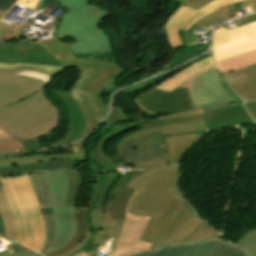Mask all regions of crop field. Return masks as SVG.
<instances>
[{
    "instance_id": "obj_1",
    "label": "crop field",
    "mask_w": 256,
    "mask_h": 256,
    "mask_svg": "<svg viewBox=\"0 0 256 256\" xmlns=\"http://www.w3.org/2000/svg\"><path fill=\"white\" fill-rule=\"evenodd\" d=\"M107 119L105 122L107 126L92 141L89 157L93 161L88 164L92 167L89 170L94 177V187L88 207L107 209L113 218H124L126 203L130 195L135 191L128 187L127 184L130 179L144 170L118 174L109 158L104 154V145L114 136H119L136 127L141 128L137 131L139 132L157 127L158 125L156 120L128 118L123 109L114 106L111 115ZM133 134L122 138L116 145V150L121 161L124 160L125 147L133 139L130 137Z\"/></svg>"
},
{
    "instance_id": "obj_2",
    "label": "crop field",
    "mask_w": 256,
    "mask_h": 256,
    "mask_svg": "<svg viewBox=\"0 0 256 256\" xmlns=\"http://www.w3.org/2000/svg\"><path fill=\"white\" fill-rule=\"evenodd\" d=\"M130 187L140 190L130 212L153 216L141 239L161 247L195 212L178 190V166L152 168L132 179ZM150 249V250H151Z\"/></svg>"
},
{
    "instance_id": "obj_3",
    "label": "crop field",
    "mask_w": 256,
    "mask_h": 256,
    "mask_svg": "<svg viewBox=\"0 0 256 256\" xmlns=\"http://www.w3.org/2000/svg\"><path fill=\"white\" fill-rule=\"evenodd\" d=\"M45 85L0 72V127L21 142L48 135L59 123V112L44 94Z\"/></svg>"
},
{
    "instance_id": "obj_4",
    "label": "crop field",
    "mask_w": 256,
    "mask_h": 256,
    "mask_svg": "<svg viewBox=\"0 0 256 256\" xmlns=\"http://www.w3.org/2000/svg\"><path fill=\"white\" fill-rule=\"evenodd\" d=\"M76 68L79 71L78 78L67 93L72 96L85 118L86 129L83 137L103 120L108 112V106H105L104 100L101 98L103 92L110 88L121 72L128 69L111 66Z\"/></svg>"
},
{
    "instance_id": "obj_5",
    "label": "crop field",
    "mask_w": 256,
    "mask_h": 256,
    "mask_svg": "<svg viewBox=\"0 0 256 256\" xmlns=\"http://www.w3.org/2000/svg\"><path fill=\"white\" fill-rule=\"evenodd\" d=\"M13 208L20 243L40 251L45 240L43 223L36 198L26 175L0 178Z\"/></svg>"
},
{
    "instance_id": "obj_6",
    "label": "crop field",
    "mask_w": 256,
    "mask_h": 256,
    "mask_svg": "<svg viewBox=\"0 0 256 256\" xmlns=\"http://www.w3.org/2000/svg\"><path fill=\"white\" fill-rule=\"evenodd\" d=\"M66 67L37 42H0V71L50 82Z\"/></svg>"
},
{
    "instance_id": "obj_7",
    "label": "crop field",
    "mask_w": 256,
    "mask_h": 256,
    "mask_svg": "<svg viewBox=\"0 0 256 256\" xmlns=\"http://www.w3.org/2000/svg\"><path fill=\"white\" fill-rule=\"evenodd\" d=\"M212 48L215 64L223 74L255 64L256 22L228 31L219 26Z\"/></svg>"
},
{
    "instance_id": "obj_8",
    "label": "crop field",
    "mask_w": 256,
    "mask_h": 256,
    "mask_svg": "<svg viewBox=\"0 0 256 256\" xmlns=\"http://www.w3.org/2000/svg\"><path fill=\"white\" fill-rule=\"evenodd\" d=\"M48 52L57 57L66 67L118 64L76 58L72 54L113 51L108 35L99 27L56 38L37 40Z\"/></svg>"
},
{
    "instance_id": "obj_9",
    "label": "crop field",
    "mask_w": 256,
    "mask_h": 256,
    "mask_svg": "<svg viewBox=\"0 0 256 256\" xmlns=\"http://www.w3.org/2000/svg\"><path fill=\"white\" fill-rule=\"evenodd\" d=\"M45 174L50 189L56 234L52 245L43 255L64 247L72 240L76 232L74 207H64L68 188L65 174L63 171L47 172Z\"/></svg>"
},
{
    "instance_id": "obj_10",
    "label": "crop field",
    "mask_w": 256,
    "mask_h": 256,
    "mask_svg": "<svg viewBox=\"0 0 256 256\" xmlns=\"http://www.w3.org/2000/svg\"><path fill=\"white\" fill-rule=\"evenodd\" d=\"M133 101L136 106L148 114L175 112V115L159 117V119L203 113L202 110L197 109L190 99L187 83L170 93L159 91L152 87Z\"/></svg>"
},
{
    "instance_id": "obj_11",
    "label": "crop field",
    "mask_w": 256,
    "mask_h": 256,
    "mask_svg": "<svg viewBox=\"0 0 256 256\" xmlns=\"http://www.w3.org/2000/svg\"><path fill=\"white\" fill-rule=\"evenodd\" d=\"M138 191H135L126 207L125 219H116L110 247L115 251L109 256H129L148 251L152 243L139 240L151 217L129 213L130 204Z\"/></svg>"
},
{
    "instance_id": "obj_12",
    "label": "crop field",
    "mask_w": 256,
    "mask_h": 256,
    "mask_svg": "<svg viewBox=\"0 0 256 256\" xmlns=\"http://www.w3.org/2000/svg\"><path fill=\"white\" fill-rule=\"evenodd\" d=\"M60 5L66 6L69 10L56 20L58 25L53 30L52 36L70 34L81 30L99 26V22L110 16L107 11L94 5H88V0H59ZM43 0H40L36 10L43 6Z\"/></svg>"
},
{
    "instance_id": "obj_13",
    "label": "crop field",
    "mask_w": 256,
    "mask_h": 256,
    "mask_svg": "<svg viewBox=\"0 0 256 256\" xmlns=\"http://www.w3.org/2000/svg\"><path fill=\"white\" fill-rule=\"evenodd\" d=\"M188 88L191 99L203 111L243 103H236L224 91L213 69L189 81Z\"/></svg>"
},
{
    "instance_id": "obj_14",
    "label": "crop field",
    "mask_w": 256,
    "mask_h": 256,
    "mask_svg": "<svg viewBox=\"0 0 256 256\" xmlns=\"http://www.w3.org/2000/svg\"><path fill=\"white\" fill-rule=\"evenodd\" d=\"M242 0H216L198 10L181 5L173 15H171L164 27L167 30L168 39L173 49L183 47L181 41V31L187 32L190 26L216 9L234 2Z\"/></svg>"
},
{
    "instance_id": "obj_15",
    "label": "crop field",
    "mask_w": 256,
    "mask_h": 256,
    "mask_svg": "<svg viewBox=\"0 0 256 256\" xmlns=\"http://www.w3.org/2000/svg\"><path fill=\"white\" fill-rule=\"evenodd\" d=\"M27 176L37 198L44 223L46 241L40 252L42 254L51 245L55 234L48 184L44 173L32 174Z\"/></svg>"
},
{
    "instance_id": "obj_16",
    "label": "crop field",
    "mask_w": 256,
    "mask_h": 256,
    "mask_svg": "<svg viewBox=\"0 0 256 256\" xmlns=\"http://www.w3.org/2000/svg\"><path fill=\"white\" fill-rule=\"evenodd\" d=\"M204 114L208 131L226 126L254 123L242 105L210 110Z\"/></svg>"
},
{
    "instance_id": "obj_17",
    "label": "crop field",
    "mask_w": 256,
    "mask_h": 256,
    "mask_svg": "<svg viewBox=\"0 0 256 256\" xmlns=\"http://www.w3.org/2000/svg\"><path fill=\"white\" fill-rule=\"evenodd\" d=\"M115 219H112L107 210L95 209L91 212V224L94 226V236L92 239V244L88 249H85L81 253L74 256H90L97 253L94 250L95 247L100 245H105L106 240H109L112 236L113 226Z\"/></svg>"
},
{
    "instance_id": "obj_18",
    "label": "crop field",
    "mask_w": 256,
    "mask_h": 256,
    "mask_svg": "<svg viewBox=\"0 0 256 256\" xmlns=\"http://www.w3.org/2000/svg\"><path fill=\"white\" fill-rule=\"evenodd\" d=\"M68 111V130L67 134L60 140L50 143L51 147L65 145L77 141L84 128V119L73 99L68 94H61L56 97Z\"/></svg>"
},
{
    "instance_id": "obj_19",
    "label": "crop field",
    "mask_w": 256,
    "mask_h": 256,
    "mask_svg": "<svg viewBox=\"0 0 256 256\" xmlns=\"http://www.w3.org/2000/svg\"><path fill=\"white\" fill-rule=\"evenodd\" d=\"M224 76L228 84L245 100L256 99V65Z\"/></svg>"
},
{
    "instance_id": "obj_20",
    "label": "crop field",
    "mask_w": 256,
    "mask_h": 256,
    "mask_svg": "<svg viewBox=\"0 0 256 256\" xmlns=\"http://www.w3.org/2000/svg\"><path fill=\"white\" fill-rule=\"evenodd\" d=\"M220 240H209L204 242L175 245L135 256H207Z\"/></svg>"
},
{
    "instance_id": "obj_21",
    "label": "crop field",
    "mask_w": 256,
    "mask_h": 256,
    "mask_svg": "<svg viewBox=\"0 0 256 256\" xmlns=\"http://www.w3.org/2000/svg\"><path fill=\"white\" fill-rule=\"evenodd\" d=\"M214 67L212 62V55L192 64L188 68L182 70L181 72L167 78L162 81L155 87L164 90V91H172L175 88L181 86V84L187 82L191 78L211 69Z\"/></svg>"
},
{
    "instance_id": "obj_22",
    "label": "crop field",
    "mask_w": 256,
    "mask_h": 256,
    "mask_svg": "<svg viewBox=\"0 0 256 256\" xmlns=\"http://www.w3.org/2000/svg\"><path fill=\"white\" fill-rule=\"evenodd\" d=\"M202 133L203 132L163 138L165 142L166 152L168 155V165L178 164V161L182 156L183 152L189 146H191V144L195 142V140L199 138Z\"/></svg>"
},
{
    "instance_id": "obj_23",
    "label": "crop field",
    "mask_w": 256,
    "mask_h": 256,
    "mask_svg": "<svg viewBox=\"0 0 256 256\" xmlns=\"http://www.w3.org/2000/svg\"><path fill=\"white\" fill-rule=\"evenodd\" d=\"M78 163L69 160H55L48 161L43 163H34V164H24L12 167L0 168L1 174L25 172V171H35V170H44L49 169V171H56L62 169H74Z\"/></svg>"
},
{
    "instance_id": "obj_24",
    "label": "crop field",
    "mask_w": 256,
    "mask_h": 256,
    "mask_svg": "<svg viewBox=\"0 0 256 256\" xmlns=\"http://www.w3.org/2000/svg\"><path fill=\"white\" fill-rule=\"evenodd\" d=\"M88 150V149H87ZM87 150L68 154V155H60V156H32V157H16L9 159H0V167L3 166H12L23 163H33V162H43L54 159H70L75 160L78 163L87 160L86 152Z\"/></svg>"
},
{
    "instance_id": "obj_25",
    "label": "crop field",
    "mask_w": 256,
    "mask_h": 256,
    "mask_svg": "<svg viewBox=\"0 0 256 256\" xmlns=\"http://www.w3.org/2000/svg\"><path fill=\"white\" fill-rule=\"evenodd\" d=\"M0 213L3 221L6 237L16 242H19L18 230H17L14 214L2 187H0Z\"/></svg>"
},
{
    "instance_id": "obj_26",
    "label": "crop field",
    "mask_w": 256,
    "mask_h": 256,
    "mask_svg": "<svg viewBox=\"0 0 256 256\" xmlns=\"http://www.w3.org/2000/svg\"><path fill=\"white\" fill-rule=\"evenodd\" d=\"M138 143L139 142H137L136 140L133 139L128 144V146L126 147V150H125V161H123V163L125 165L131 164V163H137V162L144 161V160H150V159L166 157V152H165V149H164V144L131 155L133 149L137 146Z\"/></svg>"
},
{
    "instance_id": "obj_27",
    "label": "crop field",
    "mask_w": 256,
    "mask_h": 256,
    "mask_svg": "<svg viewBox=\"0 0 256 256\" xmlns=\"http://www.w3.org/2000/svg\"><path fill=\"white\" fill-rule=\"evenodd\" d=\"M201 129H205L204 121L157 127V128L142 131L132 137L137 140L146 134L154 133L158 130H160L162 134H173V133L186 132V131H192V130H201Z\"/></svg>"
},
{
    "instance_id": "obj_28",
    "label": "crop field",
    "mask_w": 256,
    "mask_h": 256,
    "mask_svg": "<svg viewBox=\"0 0 256 256\" xmlns=\"http://www.w3.org/2000/svg\"><path fill=\"white\" fill-rule=\"evenodd\" d=\"M208 46L204 44L203 46H199L196 43L192 44L176 53V57H174L162 70L159 72L165 71L167 69H170L176 65H179L180 63L196 56L203 50H205Z\"/></svg>"
},
{
    "instance_id": "obj_29",
    "label": "crop field",
    "mask_w": 256,
    "mask_h": 256,
    "mask_svg": "<svg viewBox=\"0 0 256 256\" xmlns=\"http://www.w3.org/2000/svg\"><path fill=\"white\" fill-rule=\"evenodd\" d=\"M220 236L221 235H219L215 230H213L207 223L203 221L180 243H189L212 238H220Z\"/></svg>"
},
{
    "instance_id": "obj_30",
    "label": "crop field",
    "mask_w": 256,
    "mask_h": 256,
    "mask_svg": "<svg viewBox=\"0 0 256 256\" xmlns=\"http://www.w3.org/2000/svg\"><path fill=\"white\" fill-rule=\"evenodd\" d=\"M202 221L203 220L199 216H197V215L194 216L188 222H186L180 229H178L173 234V236L167 241V243L165 245L179 243L184 237H186Z\"/></svg>"
},
{
    "instance_id": "obj_31",
    "label": "crop field",
    "mask_w": 256,
    "mask_h": 256,
    "mask_svg": "<svg viewBox=\"0 0 256 256\" xmlns=\"http://www.w3.org/2000/svg\"><path fill=\"white\" fill-rule=\"evenodd\" d=\"M201 131H205V130H201ZM201 131H192V132H186V133L201 132ZM186 133H179V134H186ZM179 134H173V135H179ZM166 136H171V135H161L160 132H156L154 134L147 135V136L137 140L140 143L134 149L133 153L163 144L164 142L162 140V137H166Z\"/></svg>"
},
{
    "instance_id": "obj_32",
    "label": "crop field",
    "mask_w": 256,
    "mask_h": 256,
    "mask_svg": "<svg viewBox=\"0 0 256 256\" xmlns=\"http://www.w3.org/2000/svg\"><path fill=\"white\" fill-rule=\"evenodd\" d=\"M28 152L21 142L11 137L0 140V156Z\"/></svg>"
},
{
    "instance_id": "obj_33",
    "label": "crop field",
    "mask_w": 256,
    "mask_h": 256,
    "mask_svg": "<svg viewBox=\"0 0 256 256\" xmlns=\"http://www.w3.org/2000/svg\"><path fill=\"white\" fill-rule=\"evenodd\" d=\"M234 245L243 249L248 256H256V229L250 230Z\"/></svg>"
},
{
    "instance_id": "obj_34",
    "label": "crop field",
    "mask_w": 256,
    "mask_h": 256,
    "mask_svg": "<svg viewBox=\"0 0 256 256\" xmlns=\"http://www.w3.org/2000/svg\"><path fill=\"white\" fill-rule=\"evenodd\" d=\"M238 3H239V2H238ZM241 3L243 4L244 7H250V9H251L252 11H255V10H256V0H245V1H242ZM234 4H235V3H234ZM230 5H232V4H230ZM230 5H227V6L223 7V8L218 9L216 12H214V13L208 15V16L205 17L204 19H202V20H200L199 22H197L195 25L198 26V25H200V24H202V23H204V22H206V21H208V20H210V19H212V18H214V17H216V16H218L219 18H221L223 21L228 20L227 16H226L224 13L230 11V10H228V9L226 8V7L230 6Z\"/></svg>"
},
{
    "instance_id": "obj_35",
    "label": "crop field",
    "mask_w": 256,
    "mask_h": 256,
    "mask_svg": "<svg viewBox=\"0 0 256 256\" xmlns=\"http://www.w3.org/2000/svg\"><path fill=\"white\" fill-rule=\"evenodd\" d=\"M244 255L245 254L241 250L221 241V243L208 256H244Z\"/></svg>"
},
{
    "instance_id": "obj_36",
    "label": "crop field",
    "mask_w": 256,
    "mask_h": 256,
    "mask_svg": "<svg viewBox=\"0 0 256 256\" xmlns=\"http://www.w3.org/2000/svg\"><path fill=\"white\" fill-rule=\"evenodd\" d=\"M39 0H0V9L10 11L16 3L35 9Z\"/></svg>"
},
{
    "instance_id": "obj_37",
    "label": "crop field",
    "mask_w": 256,
    "mask_h": 256,
    "mask_svg": "<svg viewBox=\"0 0 256 256\" xmlns=\"http://www.w3.org/2000/svg\"><path fill=\"white\" fill-rule=\"evenodd\" d=\"M199 120H204L203 114L188 116V117L162 119V120H158L157 123L159 126H162V125L199 121Z\"/></svg>"
},
{
    "instance_id": "obj_38",
    "label": "crop field",
    "mask_w": 256,
    "mask_h": 256,
    "mask_svg": "<svg viewBox=\"0 0 256 256\" xmlns=\"http://www.w3.org/2000/svg\"><path fill=\"white\" fill-rule=\"evenodd\" d=\"M210 54H211V51H210V52H207V53H205V54H203V55H201L200 57H198V58H196L195 60L189 62L188 64H186V65H184V66H182V67H180V68H177V69H175V70H173V71H171V72H169V73H171V74L173 75V74H175V73L181 71L182 69L188 67V66H189L190 64H192L193 62H195V61H197V60H199V59H201V58H203V57H205V56H207V55H210ZM164 75H165V74H164ZM162 76H163V75H162ZM159 77H161V76H159ZM159 77L154 78V79H152V80H150V81H147V82H145V83H142V84H140V85H137V86H135V87H133V88H131V89L125 91L124 93L129 94V93L135 92V91H137L138 89H140V88H142V87L148 85V84L151 83L152 81L158 79Z\"/></svg>"
},
{
    "instance_id": "obj_39",
    "label": "crop field",
    "mask_w": 256,
    "mask_h": 256,
    "mask_svg": "<svg viewBox=\"0 0 256 256\" xmlns=\"http://www.w3.org/2000/svg\"><path fill=\"white\" fill-rule=\"evenodd\" d=\"M8 254H1L0 256H41L33 251L20 252L18 245H7L4 246Z\"/></svg>"
},
{
    "instance_id": "obj_40",
    "label": "crop field",
    "mask_w": 256,
    "mask_h": 256,
    "mask_svg": "<svg viewBox=\"0 0 256 256\" xmlns=\"http://www.w3.org/2000/svg\"><path fill=\"white\" fill-rule=\"evenodd\" d=\"M25 25H28V24L27 23H24L23 25L12 24L4 40H7V41H19V40H22L23 37L19 33V29L22 26H25Z\"/></svg>"
},
{
    "instance_id": "obj_41",
    "label": "crop field",
    "mask_w": 256,
    "mask_h": 256,
    "mask_svg": "<svg viewBox=\"0 0 256 256\" xmlns=\"http://www.w3.org/2000/svg\"><path fill=\"white\" fill-rule=\"evenodd\" d=\"M198 29H199L198 27L193 25L191 26L188 33H184V32L181 33L184 46L189 43L195 42L199 37H201L197 34V32H195Z\"/></svg>"
},
{
    "instance_id": "obj_42",
    "label": "crop field",
    "mask_w": 256,
    "mask_h": 256,
    "mask_svg": "<svg viewBox=\"0 0 256 256\" xmlns=\"http://www.w3.org/2000/svg\"><path fill=\"white\" fill-rule=\"evenodd\" d=\"M165 165H167L166 159L162 158V159H156V160H150V161H144V162L137 163L138 167H134L132 169L158 167V166H165Z\"/></svg>"
},
{
    "instance_id": "obj_43",
    "label": "crop field",
    "mask_w": 256,
    "mask_h": 256,
    "mask_svg": "<svg viewBox=\"0 0 256 256\" xmlns=\"http://www.w3.org/2000/svg\"><path fill=\"white\" fill-rule=\"evenodd\" d=\"M174 1L180 4H184V5L198 9L213 0H174Z\"/></svg>"
},
{
    "instance_id": "obj_44",
    "label": "crop field",
    "mask_w": 256,
    "mask_h": 256,
    "mask_svg": "<svg viewBox=\"0 0 256 256\" xmlns=\"http://www.w3.org/2000/svg\"><path fill=\"white\" fill-rule=\"evenodd\" d=\"M244 106L246 107L248 113L256 121V101L246 102Z\"/></svg>"
},
{
    "instance_id": "obj_45",
    "label": "crop field",
    "mask_w": 256,
    "mask_h": 256,
    "mask_svg": "<svg viewBox=\"0 0 256 256\" xmlns=\"http://www.w3.org/2000/svg\"><path fill=\"white\" fill-rule=\"evenodd\" d=\"M221 22H223L222 20H220L218 17L199 26L202 30H204L205 32L208 31L210 28L220 24Z\"/></svg>"
},
{
    "instance_id": "obj_46",
    "label": "crop field",
    "mask_w": 256,
    "mask_h": 256,
    "mask_svg": "<svg viewBox=\"0 0 256 256\" xmlns=\"http://www.w3.org/2000/svg\"><path fill=\"white\" fill-rule=\"evenodd\" d=\"M6 11H0V20L7 14ZM8 24H4L0 22V40L3 38L6 30H7Z\"/></svg>"
},
{
    "instance_id": "obj_47",
    "label": "crop field",
    "mask_w": 256,
    "mask_h": 256,
    "mask_svg": "<svg viewBox=\"0 0 256 256\" xmlns=\"http://www.w3.org/2000/svg\"><path fill=\"white\" fill-rule=\"evenodd\" d=\"M239 20L241 21V23L243 25L246 24V23H249V22L256 21V14L251 15V16H247V17H243V18H241Z\"/></svg>"
},
{
    "instance_id": "obj_48",
    "label": "crop field",
    "mask_w": 256,
    "mask_h": 256,
    "mask_svg": "<svg viewBox=\"0 0 256 256\" xmlns=\"http://www.w3.org/2000/svg\"><path fill=\"white\" fill-rule=\"evenodd\" d=\"M10 137L7 133H5L1 128H0V139Z\"/></svg>"
},
{
    "instance_id": "obj_49",
    "label": "crop field",
    "mask_w": 256,
    "mask_h": 256,
    "mask_svg": "<svg viewBox=\"0 0 256 256\" xmlns=\"http://www.w3.org/2000/svg\"><path fill=\"white\" fill-rule=\"evenodd\" d=\"M0 234L5 236L3 225H2V221H1V217H0Z\"/></svg>"
},
{
    "instance_id": "obj_50",
    "label": "crop field",
    "mask_w": 256,
    "mask_h": 256,
    "mask_svg": "<svg viewBox=\"0 0 256 256\" xmlns=\"http://www.w3.org/2000/svg\"><path fill=\"white\" fill-rule=\"evenodd\" d=\"M25 28L28 29L29 27H28V26H25V27L21 28V29H20V32H21V34L23 35L24 39H27L28 37L25 36V34H24V32H23V29H25Z\"/></svg>"
},
{
    "instance_id": "obj_51",
    "label": "crop field",
    "mask_w": 256,
    "mask_h": 256,
    "mask_svg": "<svg viewBox=\"0 0 256 256\" xmlns=\"http://www.w3.org/2000/svg\"><path fill=\"white\" fill-rule=\"evenodd\" d=\"M20 248H21V251L29 250V249H27V248H25V247H23V246H21V245H20Z\"/></svg>"
},
{
    "instance_id": "obj_52",
    "label": "crop field",
    "mask_w": 256,
    "mask_h": 256,
    "mask_svg": "<svg viewBox=\"0 0 256 256\" xmlns=\"http://www.w3.org/2000/svg\"><path fill=\"white\" fill-rule=\"evenodd\" d=\"M0 186H2L1 182H0Z\"/></svg>"
},
{
    "instance_id": "obj_53",
    "label": "crop field",
    "mask_w": 256,
    "mask_h": 256,
    "mask_svg": "<svg viewBox=\"0 0 256 256\" xmlns=\"http://www.w3.org/2000/svg\"><path fill=\"white\" fill-rule=\"evenodd\" d=\"M246 256V255H245Z\"/></svg>"
}]
</instances>
